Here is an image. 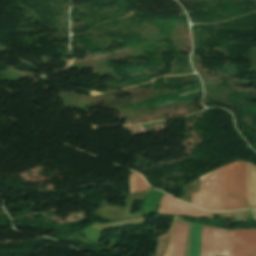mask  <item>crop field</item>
Listing matches in <instances>:
<instances>
[{
    "mask_svg": "<svg viewBox=\"0 0 256 256\" xmlns=\"http://www.w3.org/2000/svg\"><path fill=\"white\" fill-rule=\"evenodd\" d=\"M235 231L203 226L200 256H232ZM235 244L256 246V230L237 229ZM235 245L233 256H256V247Z\"/></svg>",
    "mask_w": 256,
    "mask_h": 256,
    "instance_id": "1",
    "label": "crop field"
},
{
    "mask_svg": "<svg viewBox=\"0 0 256 256\" xmlns=\"http://www.w3.org/2000/svg\"><path fill=\"white\" fill-rule=\"evenodd\" d=\"M225 210L247 208L245 162L223 167Z\"/></svg>",
    "mask_w": 256,
    "mask_h": 256,
    "instance_id": "2",
    "label": "crop field"
},
{
    "mask_svg": "<svg viewBox=\"0 0 256 256\" xmlns=\"http://www.w3.org/2000/svg\"><path fill=\"white\" fill-rule=\"evenodd\" d=\"M158 214L164 215H189L196 217L214 218L209 212L193 207L189 204L180 202L171 196L164 194L161 204L159 206Z\"/></svg>",
    "mask_w": 256,
    "mask_h": 256,
    "instance_id": "4",
    "label": "crop field"
},
{
    "mask_svg": "<svg viewBox=\"0 0 256 256\" xmlns=\"http://www.w3.org/2000/svg\"><path fill=\"white\" fill-rule=\"evenodd\" d=\"M248 208L256 209V167L246 163Z\"/></svg>",
    "mask_w": 256,
    "mask_h": 256,
    "instance_id": "5",
    "label": "crop field"
},
{
    "mask_svg": "<svg viewBox=\"0 0 256 256\" xmlns=\"http://www.w3.org/2000/svg\"><path fill=\"white\" fill-rule=\"evenodd\" d=\"M176 217L174 216L172 226L168 232L158 237L156 256H171L172 252V241H173V230L175 226Z\"/></svg>",
    "mask_w": 256,
    "mask_h": 256,
    "instance_id": "6",
    "label": "crop field"
},
{
    "mask_svg": "<svg viewBox=\"0 0 256 256\" xmlns=\"http://www.w3.org/2000/svg\"><path fill=\"white\" fill-rule=\"evenodd\" d=\"M202 190L192 194V204L209 211L224 210L222 168L201 177Z\"/></svg>",
    "mask_w": 256,
    "mask_h": 256,
    "instance_id": "3",
    "label": "crop field"
},
{
    "mask_svg": "<svg viewBox=\"0 0 256 256\" xmlns=\"http://www.w3.org/2000/svg\"><path fill=\"white\" fill-rule=\"evenodd\" d=\"M131 193L149 190L150 186L144 181L141 175L134 173L129 175Z\"/></svg>",
    "mask_w": 256,
    "mask_h": 256,
    "instance_id": "9",
    "label": "crop field"
},
{
    "mask_svg": "<svg viewBox=\"0 0 256 256\" xmlns=\"http://www.w3.org/2000/svg\"><path fill=\"white\" fill-rule=\"evenodd\" d=\"M202 226L193 223L191 239H190V254L189 256H199L200 254V237Z\"/></svg>",
    "mask_w": 256,
    "mask_h": 256,
    "instance_id": "8",
    "label": "crop field"
},
{
    "mask_svg": "<svg viewBox=\"0 0 256 256\" xmlns=\"http://www.w3.org/2000/svg\"><path fill=\"white\" fill-rule=\"evenodd\" d=\"M186 227L176 223L172 256H183Z\"/></svg>",
    "mask_w": 256,
    "mask_h": 256,
    "instance_id": "7",
    "label": "crop field"
}]
</instances>
